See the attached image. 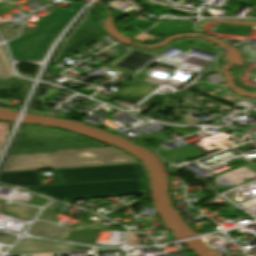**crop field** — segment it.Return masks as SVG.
I'll list each match as a JSON object with an SVG mask.
<instances>
[{"instance_id":"obj_1","label":"crop field","mask_w":256,"mask_h":256,"mask_svg":"<svg viewBox=\"0 0 256 256\" xmlns=\"http://www.w3.org/2000/svg\"><path fill=\"white\" fill-rule=\"evenodd\" d=\"M133 162L138 161L113 147L65 150L48 154L10 156L1 172Z\"/></svg>"},{"instance_id":"obj_2","label":"crop field","mask_w":256,"mask_h":256,"mask_svg":"<svg viewBox=\"0 0 256 256\" xmlns=\"http://www.w3.org/2000/svg\"><path fill=\"white\" fill-rule=\"evenodd\" d=\"M23 188L57 200L148 193L146 179Z\"/></svg>"},{"instance_id":"obj_3","label":"crop field","mask_w":256,"mask_h":256,"mask_svg":"<svg viewBox=\"0 0 256 256\" xmlns=\"http://www.w3.org/2000/svg\"><path fill=\"white\" fill-rule=\"evenodd\" d=\"M56 184L147 178L141 164L53 170Z\"/></svg>"},{"instance_id":"obj_4","label":"crop field","mask_w":256,"mask_h":256,"mask_svg":"<svg viewBox=\"0 0 256 256\" xmlns=\"http://www.w3.org/2000/svg\"><path fill=\"white\" fill-rule=\"evenodd\" d=\"M68 20L33 31L32 34L8 42L15 60H39L49 42ZM52 34V36L47 35Z\"/></svg>"},{"instance_id":"obj_5","label":"crop field","mask_w":256,"mask_h":256,"mask_svg":"<svg viewBox=\"0 0 256 256\" xmlns=\"http://www.w3.org/2000/svg\"><path fill=\"white\" fill-rule=\"evenodd\" d=\"M104 35H106L104 31L89 14L71 36L61 51L57 61L94 42Z\"/></svg>"},{"instance_id":"obj_6","label":"crop field","mask_w":256,"mask_h":256,"mask_svg":"<svg viewBox=\"0 0 256 256\" xmlns=\"http://www.w3.org/2000/svg\"><path fill=\"white\" fill-rule=\"evenodd\" d=\"M68 250H75V246H68V245H62V244L25 239L17 243L8 253L24 254V253H40V252H54V251H68Z\"/></svg>"},{"instance_id":"obj_7","label":"crop field","mask_w":256,"mask_h":256,"mask_svg":"<svg viewBox=\"0 0 256 256\" xmlns=\"http://www.w3.org/2000/svg\"><path fill=\"white\" fill-rule=\"evenodd\" d=\"M106 147L99 142L14 147L10 155L48 153L56 150Z\"/></svg>"},{"instance_id":"obj_8","label":"crop field","mask_w":256,"mask_h":256,"mask_svg":"<svg viewBox=\"0 0 256 256\" xmlns=\"http://www.w3.org/2000/svg\"><path fill=\"white\" fill-rule=\"evenodd\" d=\"M22 130V134L17 140L79 136L43 126L24 125Z\"/></svg>"},{"instance_id":"obj_9","label":"crop field","mask_w":256,"mask_h":256,"mask_svg":"<svg viewBox=\"0 0 256 256\" xmlns=\"http://www.w3.org/2000/svg\"><path fill=\"white\" fill-rule=\"evenodd\" d=\"M0 182L14 186L39 184L36 171L1 173Z\"/></svg>"},{"instance_id":"obj_10","label":"crop field","mask_w":256,"mask_h":256,"mask_svg":"<svg viewBox=\"0 0 256 256\" xmlns=\"http://www.w3.org/2000/svg\"><path fill=\"white\" fill-rule=\"evenodd\" d=\"M30 233L62 239H66L69 235L68 232H65V228L63 227L42 222L35 223Z\"/></svg>"},{"instance_id":"obj_11","label":"crop field","mask_w":256,"mask_h":256,"mask_svg":"<svg viewBox=\"0 0 256 256\" xmlns=\"http://www.w3.org/2000/svg\"><path fill=\"white\" fill-rule=\"evenodd\" d=\"M82 6H83L82 4H76L71 6L74 9L69 7L67 9L59 10L53 14L45 16L37 22L35 29L47 26L49 24H52L64 19L71 18Z\"/></svg>"},{"instance_id":"obj_12","label":"crop field","mask_w":256,"mask_h":256,"mask_svg":"<svg viewBox=\"0 0 256 256\" xmlns=\"http://www.w3.org/2000/svg\"><path fill=\"white\" fill-rule=\"evenodd\" d=\"M92 141L82 137H72V138H56V139H38V140H21L16 141L14 146H24V145H40V144H56V143H72V142H88Z\"/></svg>"},{"instance_id":"obj_13","label":"crop field","mask_w":256,"mask_h":256,"mask_svg":"<svg viewBox=\"0 0 256 256\" xmlns=\"http://www.w3.org/2000/svg\"><path fill=\"white\" fill-rule=\"evenodd\" d=\"M14 74L10 64L7 62L2 46L0 45V78Z\"/></svg>"},{"instance_id":"obj_14","label":"crop field","mask_w":256,"mask_h":256,"mask_svg":"<svg viewBox=\"0 0 256 256\" xmlns=\"http://www.w3.org/2000/svg\"><path fill=\"white\" fill-rule=\"evenodd\" d=\"M9 125L10 124L0 123V149L5 140Z\"/></svg>"},{"instance_id":"obj_15","label":"crop field","mask_w":256,"mask_h":256,"mask_svg":"<svg viewBox=\"0 0 256 256\" xmlns=\"http://www.w3.org/2000/svg\"><path fill=\"white\" fill-rule=\"evenodd\" d=\"M13 237L7 236V237H0V242L2 243H9Z\"/></svg>"}]
</instances>
